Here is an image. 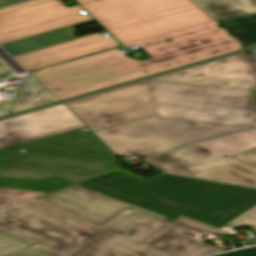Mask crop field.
Returning a JSON list of instances; mask_svg holds the SVG:
<instances>
[{
	"label": "crop field",
	"mask_w": 256,
	"mask_h": 256,
	"mask_svg": "<svg viewBox=\"0 0 256 256\" xmlns=\"http://www.w3.org/2000/svg\"><path fill=\"white\" fill-rule=\"evenodd\" d=\"M217 26L212 21L123 44L126 48L143 47L153 58L146 61L127 58L119 47L33 71L32 75L61 100L242 49Z\"/></svg>",
	"instance_id": "1"
},
{
	"label": "crop field",
	"mask_w": 256,
	"mask_h": 256,
	"mask_svg": "<svg viewBox=\"0 0 256 256\" xmlns=\"http://www.w3.org/2000/svg\"><path fill=\"white\" fill-rule=\"evenodd\" d=\"M96 131L153 114L256 127L250 91L142 81L63 104Z\"/></svg>",
	"instance_id": "2"
},
{
	"label": "crop field",
	"mask_w": 256,
	"mask_h": 256,
	"mask_svg": "<svg viewBox=\"0 0 256 256\" xmlns=\"http://www.w3.org/2000/svg\"><path fill=\"white\" fill-rule=\"evenodd\" d=\"M77 185L173 219L249 226L256 233L254 189L163 173L143 181L119 171Z\"/></svg>",
	"instance_id": "3"
},
{
	"label": "crop field",
	"mask_w": 256,
	"mask_h": 256,
	"mask_svg": "<svg viewBox=\"0 0 256 256\" xmlns=\"http://www.w3.org/2000/svg\"><path fill=\"white\" fill-rule=\"evenodd\" d=\"M79 6L33 0L0 10V45L28 71L115 45L95 33L76 38L73 27L94 22Z\"/></svg>",
	"instance_id": "4"
},
{
	"label": "crop field",
	"mask_w": 256,
	"mask_h": 256,
	"mask_svg": "<svg viewBox=\"0 0 256 256\" xmlns=\"http://www.w3.org/2000/svg\"><path fill=\"white\" fill-rule=\"evenodd\" d=\"M81 128L63 105L21 115L0 122V151L114 162L116 154Z\"/></svg>",
	"instance_id": "5"
},
{
	"label": "crop field",
	"mask_w": 256,
	"mask_h": 256,
	"mask_svg": "<svg viewBox=\"0 0 256 256\" xmlns=\"http://www.w3.org/2000/svg\"><path fill=\"white\" fill-rule=\"evenodd\" d=\"M198 143L220 155L237 153L256 147V129ZM147 164L159 172L256 189V151L253 150L224 159L192 144L149 157Z\"/></svg>",
	"instance_id": "6"
},
{
	"label": "crop field",
	"mask_w": 256,
	"mask_h": 256,
	"mask_svg": "<svg viewBox=\"0 0 256 256\" xmlns=\"http://www.w3.org/2000/svg\"><path fill=\"white\" fill-rule=\"evenodd\" d=\"M121 44L212 21L190 0H77Z\"/></svg>",
	"instance_id": "7"
},
{
	"label": "crop field",
	"mask_w": 256,
	"mask_h": 256,
	"mask_svg": "<svg viewBox=\"0 0 256 256\" xmlns=\"http://www.w3.org/2000/svg\"><path fill=\"white\" fill-rule=\"evenodd\" d=\"M118 169L108 162L0 152V188L50 193Z\"/></svg>",
	"instance_id": "8"
},
{
	"label": "crop field",
	"mask_w": 256,
	"mask_h": 256,
	"mask_svg": "<svg viewBox=\"0 0 256 256\" xmlns=\"http://www.w3.org/2000/svg\"><path fill=\"white\" fill-rule=\"evenodd\" d=\"M245 127L160 119L149 116L94 132L117 155L148 156L196 140L221 135Z\"/></svg>",
	"instance_id": "9"
},
{
	"label": "crop field",
	"mask_w": 256,
	"mask_h": 256,
	"mask_svg": "<svg viewBox=\"0 0 256 256\" xmlns=\"http://www.w3.org/2000/svg\"><path fill=\"white\" fill-rule=\"evenodd\" d=\"M167 225L124 211L65 256H170L144 243Z\"/></svg>",
	"instance_id": "10"
},
{
	"label": "crop field",
	"mask_w": 256,
	"mask_h": 256,
	"mask_svg": "<svg viewBox=\"0 0 256 256\" xmlns=\"http://www.w3.org/2000/svg\"><path fill=\"white\" fill-rule=\"evenodd\" d=\"M0 228L62 256L96 232L72 220L55 222L19 204L0 210Z\"/></svg>",
	"instance_id": "11"
},
{
	"label": "crop field",
	"mask_w": 256,
	"mask_h": 256,
	"mask_svg": "<svg viewBox=\"0 0 256 256\" xmlns=\"http://www.w3.org/2000/svg\"><path fill=\"white\" fill-rule=\"evenodd\" d=\"M150 80L256 90V57L242 53Z\"/></svg>",
	"instance_id": "12"
},
{
	"label": "crop field",
	"mask_w": 256,
	"mask_h": 256,
	"mask_svg": "<svg viewBox=\"0 0 256 256\" xmlns=\"http://www.w3.org/2000/svg\"><path fill=\"white\" fill-rule=\"evenodd\" d=\"M38 198L99 226L104 225L123 209H132L167 223L173 220L77 185Z\"/></svg>",
	"instance_id": "13"
},
{
	"label": "crop field",
	"mask_w": 256,
	"mask_h": 256,
	"mask_svg": "<svg viewBox=\"0 0 256 256\" xmlns=\"http://www.w3.org/2000/svg\"><path fill=\"white\" fill-rule=\"evenodd\" d=\"M245 47L256 44V0H192Z\"/></svg>",
	"instance_id": "14"
},
{
	"label": "crop field",
	"mask_w": 256,
	"mask_h": 256,
	"mask_svg": "<svg viewBox=\"0 0 256 256\" xmlns=\"http://www.w3.org/2000/svg\"><path fill=\"white\" fill-rule=\"evenodd\" d=\"M187 231L167 226L146 243L172 256H202L223 251L183 236Z\"/></svg>",
	"instance_id": "15"
},
{
	"label": "crop field",
	"mask_w": 256,
	"mask_h": 256,
	"mask_svg": "<svg viewBox=\"0 0 256 256\" xmlns=\"http://www.w3.org/2000/svg\"><path fill=\"white\" fill-rule=\"evenodd\" d=\"M57 100L58 99L52 95L40 82L30 75L28 76L10 114Z\"/></svg>",
	"instance_id": "16"
},
{
	"label": "crop field",
	"mask_w": 256,
	"mask_h": 256,
	"mask_svg": "<svg viewBox=\"0 0 256 256\" xmlns=\"http://www.w3.org/2000/svg\"><path fill=\"white\" fill-rule=\"evenodd\" d=\"M19 204L58 222H64L68 219H72L93 230L99 227L37 198Z\"/></svg>",
	"instance_id": "17"
},
{
	"label": "crop field",
	"mask_w": 256,
	"mask_h": 256,
	"mask_svg": "<svg viewBox=\"0 0 256 256\" xmlns=\"http://www.w3.org/2000/svg\"><path fill=\"white\" fill-rule=\"evenodd\" d=\"M33 245L36 244L0 229V256H12Z\"/></svg>",
	"instance_id": "18"
},
{
	"label": "crop field",
	"mask_w": 256,
	"mask_h": 256,
	"mask_svg": "<svg viewBox=\"0 0 256 256\" xmlns=\"http://www.w3.org/2000/svg\"><path fill=\"white\" fill-rule=\"evenodd\" d=\"M44 195L43 193L25 192L17 190L0 189V209L29 200L38 196Z\"/></svg>",
	"instance_id": "19"
},
{
	"label": "crop field",
	"mask_w": 256,
	"mask_h": 256,
	"mask_svg": "<svg viewBox=\"0 0 256 256\" xmlns=\"http://www.w3.org/2000/svg\"><path fill=\"white\" fill-rule=\"evenodd\" d=\"M178 221H181V222H184V223H186V224H189V225L198 227V228H200V229H203V230L212 232V233H214V234H219V235H226V234H228V233H226V232H223V231H220V230H217V229H214V228L205 226V225H203V224L194 222V221H192V220H189V219H186V218H183V217L179 218Z\"/></svg>",
	"instance_id": "20"
},
{
	"label": "crop field",
	"mask_w": 256,
	"mask_h": 256,
	"mask_svg": "<svg viewBox=\"0 0 256 256\" xmlns=\"http://www.w3.org/2000/svg\"><path fill=\"white\" fill-rule=\"evenodd\" d=\"M17 256H58L42 248L36 247Z\"/></svg>",
	"instance_id": "21"
},
{
	"label": "crop field",
	"mask_w": 256,
	"mask_h": 256,
	"mask_svg": "<svg viewBox=\"0 0 256 256\" xmlns=\"http://www.w3.org/2000/svg\"><path fill=\"white\" fill-rule=\"evenodd\" d=\"M20 88H21V86H18V89L13 93L11 100L0 102V117L8 114L10 107H11L18 91L20 90Z\"/></svg>",
	"instance_id": "22"
},
{
	"label": "crop field",
	"mask_w": 256,
	"mask_h": 256,
	"mask_svg": "<svg viewBox=\"0 0 256 256\" xmlns=\"http://www.w3.org/2000/svg\"><path fill=\"white\" fill-rule=\"evenodd\" d=\"M218 256H256V247L232 253L222 254Z\"/></svg>",
	"instance_id": "23"
},
{
	"label": "crop field",
	"mask_w": 256,
	"mask_h": 256,
	"mask_svg": "<svg viewBox=\"0 0 256 256\" xmlns=\"http://www.w3.org/2000/svg\"><path fill=\"white\" fill-rule=\"evenodd\" d=\"M9 73H11V70L0 61V81L4 80Z\"/></svg>",
	"instance_id": "24"
},
{
	"label": "crop field",
	"mask_w": 256,
	"mask_h": 256,
	"mask_svg": "<svg viewBox=\"0 0 256 256\" xmlns=\"http://www.w3.org/2000/svg\"><path fill=\"white\" fill-rule=\"evenodd\" d=\"M172 224H175V225H177V226H180V227H183V228L189 229V230L194 231V232H197V233H199V232L203 231V230H200V229H197V228H195V227H192V226H189V225L183 224V223L178 222V221H176V222H174V223H172ZM201 233H202V232H201Z\"/></svg>",
	"instance_id": "25"
},
{
	"label": "crop field",
	"mask_w": 256,
	"mask_h": 256,
	"mask_svg": "<svg viewBox=\"0 0 256 256\" xmlns=\"http://www.w3.org/2000/svg\"><path fill=\"white\" fill-rule=\"evenodd\" d=\"M22 1H25V0H0V8L11 5V4H15L18 2H22Z\"/></svg>",
	"instance_id": "26"
},
{
	"label": "crop field",
	"mask_w": 256,
	"mask_h": 256,
	"mask_svg": "<svg viewBox=\"0 0 256 256\" xmlns=\"http://www.w3.org/2000/svg\"><path fill=\"white\" fill-rule=\"evenodd\" d=\"M119 171H122V172H125V173H127V174H130V175H133V176H135V177H138V176L134 175L133 173H131V172H129V171H126V170H124V169H121V170H119ZM138 178H141V177H138ZM141 179H143V178H141ZM143 180H146V179H143Z\"/></svg>",
	"instance_id": "27"
},
{
	"label": "crop field",
	"mask_w": 256,
	"mask_h": 256,
	"mask_svg": "<svg viewBox=\"0 0 256 256\" xmlns=\"http://www.w3.org/2000/svg\"><path fill=\"white\" fill-rule=\"evenodd\" d=\"M251 52L256 53V49L255 50H251Z\"/></svg>",
	"instance_id": "28"
}]
</instances>
